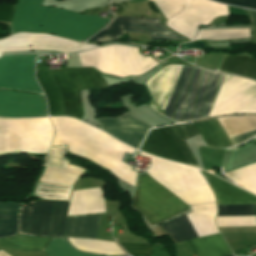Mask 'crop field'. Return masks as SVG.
I'll return each instance as SVG.
<instances>
[{
	"mask_svg": "<svg viewBox=\"0 0 256 256\" xmlns=\"http://www.w3.org/2000/svg\"><path fill=\"white\" fill-rule=\"evenodd\" d=\"M7 245L25 250H45L50 239L12 236L2 239Z\"/></svg>",
	"mask_w": 256,
	"mask_h": 256,
	"instance_id": "obj_26",
	"label": "crop field"
},
{
	"mask_svg": "<svg viewBox=\"0 0 256 256\" xmlns=\"http://www.w3.org/2000/svg\"><path fill=\"white\" fill-rule=\"evenodd\" d=\"M239 37H249V29H222L199 31L198 39H231Z\"/></svg>",
	"mask_w": 256,
	"mask_h": 256,
	"instance_id": "obj_27",
	"label": "crop field"
},
{
	"mask_svg": "<svg viewBox=\"0 0 256 256\" xmlns=\"http://www.w3.org/2000/svg\"><path fill=\"white\" fill-rule=\"evenodd\" d=\"M125 32L150 33L152 40L184 39L166 29L160 18H115L106 28L96 34L87 42H103L117 39Z\"/></svg>",
	"mask_w": 256,
	"mask_h": 256,
	"instance_id": "obj_12",
	"label": "crop field"
},
{
	"mask_svg": "<svg viewBox=\"0 0 256 256\" xmlns=\"http://www.w3.org/2000/svg\"><path fill=\"white\" fill-rule=\"evenodd\" d=\"M151 158V167L145 172L190 205L215 201L208 185L194 167L180 165L138 152ZM140 174L136 191L132 193L133 207L150 223H157L188 209V204L161 184Z\"/></svg>",
	"mask_w": 256,
	"mask_h": 256,
	"instance_id": "obj_1",
	"label": "crop field"
},
{
	"mask_svg": "<svg viewBox=\"0 0 256 256\" xmlns=\"http://www.w3.org/2000/svg\"><path fill=\"white\" fill-rule=\"evenodd\" d=\"M248 13H249V15H250V17H251V19H252L253 25L256 26V13H254V12H249V11H248Z\"/></svg>",
	"mask_w": 256,
	"mask_h": 256,
	"instance_id": "obj_35",
	"label": "crop field"
},
{
	"mask_svg": "<svg viewBox=\"0 0 256 256\" xmlns=\"http://www.w3.org/2000/svg\"><path fill=\"white\" fill-rule=\"evenodd\" d=\"M97 121L103 131L137 149L148 130L152 128L128 113L114 119H98Z\"/></svg>",
	"mask_w": 256,
	"mask_h": 256,
	"instance_id": "obj_14",
	"label": "crop field"
},
{
	"mask_svg": "<svg viewBox=\"0 0 256 256\" xmlns=\"http://www.w3.org/2000/svg\"><path fill=\"white\" fill-rule=\"evenodd\" d=\"M54 135L49 118L0 119V154L47 153Z\"/></svg>",
	"mask_w": 256,
	"mask_h": 256,
	"instance_id": "obj_9",
	"label": "crop field"
},
{
	"mask_svg": "<svg viewBox=\"0 0 256 256\" xmlns=\"http://www.w3.org/2000/svg\"><path fill=\"white\" fill-rule=\"evenodd\" d=\"M68 239L74 247L81 251L115 256L126 254L115 242H106L84 238Z\"/></svg>",
	"mask_w": 256,
	"mask_h": 256,
	"instance_id": "obj_20",
	"label": "crop field"
},
{
	"mask_svg": "<svg viewBox=\"0 0 256 256\" xmlns=\"http://www.w3.org/2000/svg\"><path fill=\"white\" fill-rule=\"evenodd\" d=\"M199 256H232L221 234L191 239Z\"/></svg>",
	"mask_w": 256,
	"mask_h": 256,
	"instance_id": "obj_19",
	"label": "crop field"
},
{
	"mask_svg": "<svg viewBox=\"0 0 256 256\" xmlns=\"http://www.w3.org/2000/svg\"><path fill=\"white\" fill-rule=\"evenodd\" d=\"M217 71L237 74L256 80V61L243 55H224Z\"/></svg>",
	"mask_w": 256,
	"mask_h": 256,
	"instance_id": "obj_18",
	"label": "crop field"
},
{
	"mask_svg": "<svg viewBox=\"0 0 256 256\" xmlns=\"http://www.w3.org/2000/svg\"><path fill=\"white\" fill-rule=\"evenodd\" d=\"M42 1L16 0L10 34L18 31L51 32L81 42L109 20L58 8L40 7Z\"/></svg>",
	"mask_w": 256,
	"mask_h": 256,
	"instance_id": "obj_4",
	"label": "crop field"
},
{
	"mask_svg": "<svg viewBox=\"0 0 256 256\" xmlns=\"http://www.w3.org/2000/svg\"><path fill=\"white\" fill-rule=\"evenodd\" d=\"M182 65H168L153 75L146 86L153 98L150 108L162 115Z\"/></svg>",
	"mask_w": 256,
	"mask_h": 256,
	"instance_id": "obj_15",
	"label": "crop field"
},
{
	"mask_svg": "<svg viewBox=\"0 0 256 256\" xmlns=\"http://www.w3.org/2000/svg\"><path fill=\"white\" fill-rule=\"evenodd\" d=\"M256 113V83L226 75L208 117Z\"/></svg>",
	"mask_w": 256,
	"mask_h": 256,
	"instance_id": "obj_10",
	"label": "crop field"
},
{
	"mask_svg": "<svg viewBox=\"0 0 256 256\" xmlns=\"http://www.w3.org/2000/svg\"><path fill=\"white\" fill-rule=\"evenodd\" d=\"M14 5H0V22H11Z\"/></svg>",
	"mask_w": 256,
	"mask_h": 256,
	"instance_id": "obj_33",
	"label": "crop field"
},
{
	"mask_svg": "<svg viewBox=\"0 0 256 256\" xmlns=\"http://www.w3.org/2000/svg\"><path fill=\"white\" fill-rule=\"evenodd\" d=\"M224 3L236 4L252 9H256V0H216Z\"/></svg>",
	"mask_w": 256,
	"mask_h": 256,
	"instance_id": "obj_34",
	"label": "crop field"
},
{
	"mask_svg": "<svg viewBox=\"0 0 256 256\" xmlns=\"http://www.w3.org/2000/svg\"><path fill=\"white\" fill-rule=\"evenodd\" d=\"M72 186L38 183L33 194L43 199L69 200Z\"/></svg>",
	"mask_w": 256,
	"mask_h": 256,
	"instance_id": "obj_25",
	"label": "crop field"
},
{
	"mask_svg": "<svg viewBox=\"0 0 256 256\" xmlns=\"http://www.w3.org/2000/svg\"><path fill=\"white\" fill-rule=\"evenodd\" d=\"M218 15H228L227 6L208 0H186L183 10L167 20V26L192 40L198 24L207 25Z\"/></svg>",
	"mask_w": 256,
	"mask_h": 256,
	"instance_id": "obj_11",
	"label": "crop field"
},
{
	"mask_svg": "<svg viewBox=\"0 0 256 256\" xmlns=\"http://www.w3.org/2000/svg\"><path fill=\"white\" fill-rule=\"evenodd\" d=\"M200 172L212 188L218 205L256 204V196H253L207 172L201 170Z\"/></svg>",
	"mask_w": 256,
	"mask_h": 256,
	"instance_id": "obj_16",
	"label": "crop field"
},
{
	"mask_svg": "<svg viewBox=\"0 0 256 256\" xmlns=\"http://www.w3.org/2000/svg\"><path fill=\"white\" fill-rule=\"evenodd\" d=\"M34 56L0 57V116L34 117L47 116L42 91L34 77Z\"/></svg>",
	"mask_w": 256,
	"mask_h": 256,
	"instance_id": "obj_3",
	"label": "crop field"
},
{
	"mask_svg": "<svg viewBox=\"0 0 256 256\" xmlns=\"http://www.w3.org/2000/svg\"><path fill=\"white\" fill-rule=\"evenodd\" d=\"M37 78L47 97L51 116L67 115L81 119L80 90L106 86L101 75L92 68L38 71Z\"/></svg>",
	"mask_w": 256,
	"mask_h": 256,
	"instance_id": "obj_8",
	"label": "crop field"
},
{
	"mask_svg": "<svg viewBox=\"0 0 256 256\" xmlns=\"http://www.w3.org/2000/svg\"><path fill=\"white\" fill-rule=\"evenodd\" d=\"M229 137L256 131V116L222 117L218 118ZM256 136V132L232 137L234 145Z\"/></svg>",
	"mask_w": 256,
	"mask_h": 256,
	"instance_id": "obj_17",
	"label": "crop field"
},
{
	"mask_svg": "<svg viewBox=\"0 0 256 256\" xmlns=\"http://www.w3.org/2000/svg\"><path fill=\"white\" fill-rule=\"evenodd\" d=\"M21 205L13 203L0 204V237L17 232Z\"/></svg>",
	"mask_w": 256,
	"mask_h": 256,
	"instance_id": "obj_22",
	"label": "crop field"
},
{
	"mask_svg": "<svg viewBox=\"0 0 256 256\" xmlns=\"http://www.w3.org/2000/svg\"><path fill=\"white\" fill-rule=\"evenodd\" d=\"M64 150L65 146L51 148L49 154L44 160L43 165L66 168L68 163L63 157Z\"/></svg>",
	"mask_w": 256,
	"mask_h": 256,
	"instance_id": "obj_30",
	"label": "crop field"
},
{
	"mask_svg": "<svg viewBox=\"0 0 256 256\" xmlns=\"http://www.w3.org/2000/svg\"><path fill=\"white\" fill-rule=\"evenodd\" d=\"M56 129L52 146L67 144V150L84 156L106 168L120 179L135 186L132 167L119 161L121 151L135 153L136 150L123 145L97 129L66 117L50 118Z\"/></svg>",
	"mask_w": 256,
	"mask_h": 256,
	"instance_id": "obj_2",
	"label": "crop field"
},
{
	"mask_svg": "<svg viewBox=\"0 0 256 256\" xmlns=\"http://www.w3.org/2000/svg\"><path fill=\"white\" fill-rule=\"evenodd\" d=\"M67 205L63 201L40 200L25 206L19 235L94 238L98 215L66 217Z\"/></svg>",
	"mask_w": 256,
	"mask_h": 256,
	"instance_id": "obj_6",
	"label": "crop field"
},
{
	"mask_svg": "<svg viewBox=\"0 0 256 256\" xmlns=\"http://www.w3.org/2000/svg\"><path fill=\"white\" fill-rule=\"evenodd\" d=\"M205 146H232L217 119L194 123ZM197 135L192 123L152 129L140 150L185 164L199 166L183 140Z\"/></svg>",
	"mask_w": 256,
	"mask_h": 256,
	"instance_id": "obj_7",
	"label": "crop field"
},
{
	"mask_svg": "<svg viewBox=\"0 0 256 256\" xmlns=\"http://www.w3.org/2000/svg\"><path fill=\"white\" fill-rule=\"evenodd\" d=\"M130 255L148 256L151 255L149 244L119 243Z\"/></svg>",
	"mask_w": 256,
	"mask_h": 256,
	"instance_id": "obj_32",
	"label": "crop field"
},
{
	"mask_svg": "<svg viewBox=\"0 0 256 256\" xmlns=\"http://www.w3.org/2000/svg\"><path fill=\"white\" fill-rule=\"evenodd\" d=\"M45 251L48 256H95L77 252L64 239H51Z\"/></svg>",
	"mask_w": 256,
	"mask_h": 256,
	"instance_id": "obj_28",
	"label": "crop field"
},
{
	"mask_svg": "<svg viewBox=\"0 0 256 256\" xmlns=\"http://www.w3.org/2000/svg\"><path fill=\"white\" fill-rule=\"evenodd\" d=\"M84 169L68 165L67 169L46 167L38 182L74 184Z\"/></svg>",
	"mask_w": 256,
	"mask_h": 256,
	"instance_id": "obj_21",
	"label": "crop field"
},
{
	"mask_svg": "<svg viewBox=\"0 0 256 256\" xmlns=\"http://www.w3.org/2000/svg\"><path fill=\"white\" fill-rule=\"evenodd\" d=\"M156 3L157 7L162 11L164 17L169 19L182 10V5L171 0H151Z\"/></svg>",
	"mask_w": 256,
	"mask_h": 256,
	"instance_id": "obj_31",
	"label": "crop field"
},
{
	"mask_svg": "<svg viewBox=\"0 0 256 256\" xmlns=\"http://www.w3.org/2000/svg\"><path fill=\"white\" fill-rule=\"evenodd\" d=\"M223 75L183 65L162 116L175 123L205 119Z\"/></svg>",
	"mask_w": 256,
	"mask_h": 256,
	"instance_id": "obj_5",
	"label": "crop field"
},
{
	"mask_svg": "<svg viewBox=\"0 0 256 256\" xmlns=\"http://www.w3.org/2000/svg\"><path fill=\"white\" fill-rule=\"evenodd\" d=\"M218 216L256 215L255 205L217 206Z\"/></svg>",
	"mask_w": 256,
	"mask_h": 256,
	"instance_id": "obj_29",
	"label": "crop field"
},
{
	"mask_svg": "<svg viewBox=\"0 0 256 256\" xmlns=\"http://www.w3.org/2000/svg\"><path fill=\"white\" fill-rule=\"evenodd\" d=\"M162 227L173 237L176 242L197 237L186 215L168 222L162 225Z\"/></svg>",
	"mask_w": 256,
	"mask_h": 256,
	"instance_id": "obj_24",
	"label": "crop field"
},
{
	"mask_svg": "<svg viewBox=\"0 0 256 256\" xmlns=\"http://www.w3.org/2000/svg\"><path fill=\"white\" fill-rule=\"evenodd\" d=\"M224 175L234 181L236 185H240L256 194V163L225 173Z\"/></svg>",
	"mask_w": 256,
	"mask_h": 256,
	"instance_id": "obj_23",
	"label": "crop field"
},
{
	"mask_svg": "<svg viewBox=\"0 0 256 256\" xmlns=\"http://www.w3.org/2000/svg\"><path fill=\"white\" fill-rule=\"evenodd\" d=\"M95 46L81 44L71 40L47 35L16 33L0 40V55L2 52L48 49L65 53L83 51Z\"/></svg>",
	"mask_w": 256,
	"mask_h": 256,
	"instance_id": "obj_13",
	"label": "crop field"
}]
</instances>
